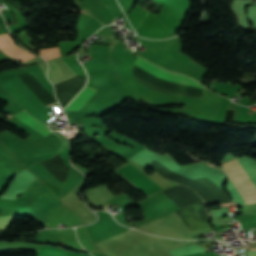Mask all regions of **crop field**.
<instances>
[{
  "mask_svg": "<svg viewBox=\"0 0 256 256\" xmlns=\"http://www.w3.org/2000/svg\"><path fill=\"white\" fill-rule=\"evenodd\" d=\"M95 91L96 89L86 86L85 89L74 99V101L67 108L80 109Z\"/></svg>",
  "mask_w": 256,
  "mask_h": 256,
  "instance_id": "crop-field-5",
  "label": "crop field"
},
{
  "mask_svg": "<svg viewBox=\"0 0 256 256\" xmlns=\"http://www.w3.org/2000/svg\"><path fill=\"white\" fill-rule=\"evenodd\" d=\"M226 206H233L232 203H228V204H222L221 207H226Z\"/></svg>",
  "mask_w": 256,
  "mask_h": 256,
  "instance_id": "crop-field-9",
  "label": "crop field"
},
{
  "mask_svg": "<svg viewBox=\"0 0 256 256\" xmlns=\"http://www.w3.org/2000/svg\"><path fill=\"white\" fill-rule=\"evenodd\" d=\"M26 125L30 126L34 130L40 132L43 135H48L51 131L48 129V126L44 125L43 123L39 122L32 116H30L25 110L13 115Z\"/></svg>",
  "mask_w": 256,
  "mask_h": 256,
  "instance_id": "crop-field-4",
  "label": "crop field"
},
{
  "mask_svg": "<svg viewBox=\"0 0 256 256\" xmlns=\"http://www.w3.org/2000/svg\"><path fill=\"white\" fill-rule=\"evenodd\" d=\"M0 49L7 55L14 57L18 60H21L22 62L36 57L14 45V41L7 34L0 35Z\"/></svg>",
  "mask_w": 256,
  "mask_h": 256,
  "instance_id": "crop-field-3",
  "label": "crop field"
},
{
  "mask_svg": "<svg viewBox=\"0 0 256 256\" xmlns=\"http://www.w3.org/2000/svg\"><path fill=\"white\" fill-rule=\"evenodd\" d=\"M249 250V249H247ZM251 250H256V249H251ZM249 256H256V251H248Z\"/></svg>",
  "mask_w": 256,
  "mask_h": 256,
  "instance_id": "crop-field-8",
  "label": "crop field"
},
{
  "mask_svg": "<svg viewBox=\"0 0 256 256\" xmlns=\"http://www.w3.org/2000/svg\"><path fill=\"white\" fill-rule=\"evenodd\" d=\"M58 102H56V103H53V104H50V105H47V107H49V106H52V105H54V104H57Z\"/></svg>",
  "mask_w": 256,
  "mask_h": 256,
  "instance_id": "crop-field-10",
  "label": "crop field"
},
{
  "mask_svg": "<svg viewBox=\"0 0 256 256\" xmlns=\"http://www.w3.org/2000/svg\"><path fill=\"white\" fill-rule=\"evenodd\" d=\"M136 66L160 77L163 78L165 80H168L170 82H174V83H179V84H184V85H189V86H194V87H199V88H204L200 83L196 82L195 80L180 75V74H176V73H171V72H167L164 71L156 66H154L153 64L141 59L138 57L137 61L135 62Z\"/></svg>",
  "mask_w": 256,
  "mask_h": 256,
  "instance_id": "crop-field-2",
  "label": "crop field"
},
{
  "mask_svg": "<svg viewBox=\"0 0 256 256\" xmlns=\"http://www.w3.org/2000/svg\"><path fill=\"white\" fill-rule=\"evenodd\" d=\"M41 56H43L46 60L60 56L58 47L51 49H44L40 51Z\"/></svg>",
  "mask_w": 256,
  "mask_h": 256,
  "instance_id": "crop-field-6",
  "label": "crop field"
},
{
  "mask_svg": "<svg viewBox=\"0 0 256 256\" xmlns=\"http://www.w3.org/2000/svg\"><path fill=\"white\" fill-rule=\"evenodd\" d=\"M235 187L242 194L246 204L256 202V185L245 171L238 159H233L222 164Z\"/></svg>",
  "mask_w": 256,
  "mask_h": 256,
  "instance_id": "crop-field-1",
  "label": "crop field"
},
{
  "mask_svg": "<svg viewBox=\"0 0 256 256\" xmlns=\"http://www.w3.org/2000/svg\"><path fill=\"white\" fill-rule=\"evenodd\" d=\"M12 218H13V216L0 217V229L6 230V228L9 226Z\"/></svg>",
  "mask_w": 256,
  "mask_h": 256,
  "instance_id": "crop-field-7",
  "label": "crop field"
}]
</instances>
